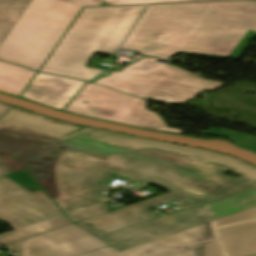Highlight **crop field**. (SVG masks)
Returning <instances> with one entry per match:
<instances>
[{
  "label": "crop field",
  "mask_w": 256,
  "mask_h": 256,
  "mask_svg": "<svg viewBox=\"0 0 256 256\" xmlns=\"http://www.w3.org/2000/svg\"><path fill=\"white\" fill-rule=\"evenodd\" d=\"M100 0H31L0 45V59L38 71L83 6Z\"/></svg>",
  "instance_id": "f4fd0767"
},
{
  "label": "crop field",
  "mask_w": 256,
  "mask_h": 256,
  "mask_svg": "<svg viewBox=\"0 0 256 256\" xmlns=\"http://www.w3.org/2000/svg\"><path fill=\"white\" fill-rule=\"evenodd\" d=\"M256 256V255H255Z\"/></svg>",
  "instance_id": "00972430"
},
{
  "label": "crop field",
  "mask_w": 256,
  "mask_h": 256,
  "mask_svg": "<svg viewBox=\"0 0 256 256\" xmlns=\"http://www.w3.org/2000/svg\"><path fill=\"white\" fill-rule=\"evenodd\" d=\"M11 108V106L4 104V103H0V117L7 112L9 109Z\"/></svg>",
  "instance_id": "92a150f3"
},
{
  "label": "crop field",
  "mask_w": 256,
  "mask_h": 256,
  "mask_svg": "<svg viewBox=\"0 0 256 256\" xmlns=\"http://www.w3.org/2000/svg\"><path fill=\"white\" fill-rule=\"evenodd\" d=\"M137 184H143V185H145V184H147V182H141V181H135V180H133L132 186L137 185Z\"/></svg>",
  "instance_id": "dafd665d"
},
{
  "label": "crop field",
  "mask_w": 256,
  "mask_h": 256,
  "mask_svg": "<svg viewBox=\"0 0 256 256\" xmlns=\"http://www.w3.org/2000/svg\"><path fill=\"white\" fill-rule=\"evenodd\" d=\"M84 83L38 73L23 98L63 110Z\"/></svg>",
  "instance_id": "22f410ed"
},
{
  "label": "crop field",
  "mask_w": 256,
  "mask_h": 256,
  "mask_svg": "<svg viewBox=\"0 0 256 256\" xmlns=\"http://www.w3.org/2000/svg\"><path fill=\"white\" fill-rule=\"evenodd\" d=\"M145 6L83 8L40 69L88 80L102 72L85 67L94 52L113 54Z\"/></svg>",
  "instance_id": "34b2d1b8"
},
{
  "label": "crop field",
  "mask_w": 256,
  "mask_h": 256,
  "mask_svg": "<svg viewBox=\"0 0 256 256\" xmlns=\"http://www.w3.org/2000/svg\"><path fill=\"white\" fill-rule=\"evenodd\" d=\"M71 224L65 215L0 236V246H6L38 234Z\"/></svg>",
  "instance_id": "5142ce71"
},
{
  "label": "crop field",
  "mask_w": 256,
  "mask_h": 256,
  "mask_svg": "<svg viewBox=\"0 0 256 256\" xmlns=\"http://www.w3.org/2000/svg\"><path fill=\"white\" fill-rule=\"evenodd\" d=\"M34 75L26 68L0 62V91L19 96Z\"/></svg>",
  "instance_id": "cbeb9de0"
},
{
  "label": "crop field",
  "mask_w": 256,
  "mask_h": 256,
  "mask_svg": "<svg viewBox=\"0 0 256 256\" xmlns=\"http://www.w3.org/2000/svg\"><path fill=\"white\" fill-rule=\"evenodd\" d=\"M233 173L242 177L228 178L220 175L204 182L75 224L96 236L144 222L155 215L148 212L150 208L158 204L167 203L173 199L179 201L174 204L175 206L185 209L256 188L255 167L250 166L233 171ZM179 197L182 199H178Z\"/></svg>",
  "instance_id": "dd49c442"
},
{
  "label": "crop field",
  "mask_w": 256,
  "mask_h": 256,
  "mask_svg": "<svg viewBox=\"0 0 256 256\" xmlns=\"http://www.w3.org/2000/svg\"><path fill=\"white\" fill-rule=\"evenodd\" d=\"M142 59L121 72H113L95 84L159 102L180 103L194 98L203 89L222 83L203 80L177 67Z\"/></svg>",
  "instance_id": "e52e79f7"
},
{
  "label": "crop field",
  "mask_w": 256,
  "mask_h": 256,
  "mask_svg": "<svg viewBox=\"0 0 256 256\" xmlns=\"http://www.w3.org/2000/svg\"><path fill=\"white\" fill-rule=\"evenodd\" d=\"M256 254V206L142 245L81 256H250Z\"/></svg>",
  "instance_id": "412701ff"
},
{
  "label": "crop field",
  "mask_w": 256,
  "mask_h": 256,
  "mask_svg": "<svg viewBox=\"0 0 256 256\" xmlns=\"http://www.w3.org/2000/svg\"><path fill=\"white\" fill-rule=\"evenodd\" d=\"M64 213L103 201L111 172L170 191L250 166L223 154L86 127L19 156Z\"/></svg>",
  "instance_id": "8a807250"
},
{
  "label": "crop field",
  "mask_w": 256,
  "mask_h": 256,
  "mask_svg": "<svg viewBox=\"0 0 256 256\" xmlns=\"http://www.w3.org/2000/svg\"><path fill=\"white\" fill-rule=\"evenodd\" d=\"M106 245L71 224L6 247L18 256H75Z\"/></svg>",
  "instance_id": "d1516ede"
},
{
  "label": "crop field",
  "mask_w": 256,
  "mask_h": 256,
  "mask_svg": "<svg viewBox=\"0 0 256 256\" xmlns=\"http://www.w3.org/2000/svg\"><path fill=\"white\" fill-rule=\"evenodd\" d=\"M256 205V189L100 237L121 251Z\"/></svg>",
  "instance_id": "d8731c3e"
},
{
  "label": "crop field",
  "mask_w": 256,
  "mask_h": 256,
  "mask_svg": "<svg viewBox=\"0 0 256 256\" xmlns=\"http://www.w3.org/2000/svg\"><path fill=\"white\" fill-rule=\"evenodd\" d=\"M84 101L88 103L85 104ZM146 104L142 99L88 83L65 111L150 130L181 134L180 130L168 128L157 114L145 110Z\"/></svg>",
  "instance_id": "5a996713"
},
{
  "label": "crop field",
  "mask_w": 256,
  "mask_h": 256,
  "mask_svg": "<svg viewBox=\"0 0 256 256\" xmlns=\"http://www.w3.org/2000/svg\"><path fill=\"white\" fill-rule=\"evenodd\" d=\"M110 4H134V3H161V2H184V1H211V0H105Z\"/></svg>",
  "instance_id": "214f88e0"
},
{
  "label": "crop field",
  "mask_w": 256,
  "mask_h": 256,
  "mask_svg": "<svg viewBox=\"0 0 256 256\" xmlns=\"http://www.w3.org/2000/svg\"><path fill=\"white\" fill-rule=\"evenodd\" d=\"M59 214L61 210L26 168L0 179V221L16 229Z\"/></svg>",
  "instance_id": "3316defc"
},
{
  "label": "crop field",
  "mask_w": 256,
  "mask_h": 256,
  "mask_svg": "<svg viewBox=\"0 0 256 256\" xmlns=\"http://www.w3.org/2000/svg\"><path fill=\"white\" fill-rule=\"evenodd\" d=\"M24 168L23 164L16 158L0 163V178Z\"/></svg>",
  "instance_id": "bc2a9ffb"
},
{
  "label": "crop field",
  "mask_w": 256,
  "mask_h": 256,
  "mask_svg": "<svg viewBox=\"0 0 256 256\" xmlns=\"http://www.w3.org/2000/svg\"><path fill=\"white\" fill-rule=\"evenodd\" d=\"M212 132H220V133H225V134H230L231 140L237 144L238 146L249 149L252 151L256 152V138L248 135H240L237 133H233L230 131L226 130H221V129H212Z\"/></svg>",
  "instance_id": "4a817a6b"
},
{
  "label": "crop field",
  "mask_w": 256,
  "mask_h": 256,
  "mask_svg": "<svg viewBox=\"0 0 256 256\" xmlns=\"http://www.w3.org/2000/svg\"><path fill=\"white\" fill-rule=\"evenodd\" d=\"M108 211L109 210H108L105 202H103V203L93 206V207H89V208H86L83 210L69 213V214H67V216L70 218V220L73 223H75V222H78V221H81L84 219H88V218L103 214Z\"/></svg>",
  "instance_id": "733c2abd"
},
{
  "label": "crop field",
  "mask_w": 256,
  "mask_h": 256,
  "mask_svg": "<svg viewBox=\"0 0 256 256\" xmlns=\"http://www.w3.org/2000/svg\"><path fill=\"white\" fill-rule=\"evenodd\" d=\"M253 35L256 2L156 5L148 6L121 48L160 58L177 51L237 57Z\"/></svg>",
  "instance_id": "ac0d7876"
},
{
  "label": "crop field",
  "mask_w": 256,
  "mask_h": 256,
  "mask_svg": "<svg viewBox=\"0 0 256 256\" xmlns=\"http://www.w3.org/2000/svg\"><path fill=\"white\" fill-rule=\"evenodd\" d=\"M30 0H0V44Z\"/></svg>",
  "instance_id": "d9b57169"
},
{
  "label": "crop field",
  "mask_w": 256,
  "mask_h": 256,
  "mask_svg": "<svg viewBox=\"0 0 256 256\" xmlns=\"http://www.w3.org/2000/svg\"><path fill=\"white\" fill-rule=\"evenodd\" d=\"M75 129L74 124L13 108L0 120V162Z\"/></svg>",
  "instance_id": "28ad6ade"
}]
</instances>
